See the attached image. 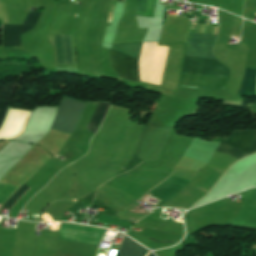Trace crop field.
Listing matches in <instances>:
<instances>
[{
	"label": "crop field",
	"mask_w": 256,
	"mask_h": 256,
	"mask_svg": "<svg viewBox=\"0 0 256 256\" xmlns=\"http://www.w3.org/2000/svg\"><path fill=\"white\" fill-rule=\"evenodd\" d=\"M156 4L157 0H137L134 15L152 17Z\"/></svg>",
	"instance_id": "crop-field-12"
},
{
	"label": "crop field",
	"mask_w": 256,
	"mask_h": 256,
	"mask_svg": "<svg viewBox=\"0 0 256 256\" xmlns=\"http://www.w3.org/2000/svg\"><path fill=\"white\" fill-rule=\"evenodd\" d=\"M145 250L146 249L144 247H142L141 245L137 244L136 242L129 239L128 237H125L116 256H141ZM147 251L148 250H146L145 253Z\"/></svg>",
	"instance_id": "crop-field-9"
},
{
	"label": "crop field",
	"mask_w": 256,
	"mask_h": 256,
	"mask_svg": "<svg viewBox=\"0 0 256 256\" xmlns=\"http://www.w3.org/2000/svg\"><path fill=\"white\" fill-rule=\"evenodd\" d=\"M28 190L29 188L23 186L19 187L16 192L6 201L5 205L2 208L9 210L13 206V204Z\"/></svg>",
	"instance_id": "crop-field-13"
},
{
	"label": "crop field",
	"mask_w": 256,
	"mask_h": 256,
	"mask_svg": "<svg viewBox=\"0 0 256 256\" xmlns=\"http://www.w3.org/2000/svg\"><path fill=\"white\" fill-rule=\"evenodd\" d=\"M108 107H109V104H107V103H99L98 104V106H97L88 126H87V128L90 132L95 133L98 130V128L106 114Z\"/></svg>",
	"instance_id": "crop-field-11"
},
{
	"label": "crop field",
	"mask_w": 256,
	"mask_h": 256,
	"mask_svg": "<svg viewBox=\"0 0 256 256\" xmlns=\"http://www.w3.org/2000/svg\"><path fill=\"white\" fill-rule=\"evenodd\" d=\"M255 140H256V131L236 132V133H233V135L231 136V138L228 140L227 143H222V144L232 146L234 148H237V149L249 154ZM229 146L219 144V146L216 148V150L225 152V153L232 155L238 159L247 155V154H245L237 149H234L232 147H229ZM254 152H256V142H255L250 154L254 153Z\"/></svg>",
	"instance_id": "crop-field-4"
},
{
	"label": "crop field",
	"mask_w": 256,
	"mask_h": 256,
	"mask_svg": "<svg viewBox=\"0 0 256 256\" xmlns=\"http://www.w3.org/2000/svg\"><path fill=\"white\" fill-rule=\"evenodd\" d=\"M83 103L64 99L52 129L72 134L84 109Z\"/></svg>",
	"instance_id": "crop-field-2"
},
{
	"label": "crop field",
	"mask_w": 256,
	"mask_h": 256,
	"mask_svg": "<svg viewBox=\"0 0 256 256\" xmlns=\"http://www.w3.org/2000/svg\"><path fill=\"white\" fill-rule=\"evenodd\" d=\"M215 39L216 35L190 33L185 57L215 59L211 53ZM195 58H185L182 72L230 75L229 70L217 60ZM213 75L182 73L179 86L206 89H225L229 76Z\"/></svg>",
	"instance_id": "crop-field-1"
},
{
	"label": "crop field",
	"mask_w": 256,
	"mask_h": 256,
	"mask_svg": "<svg viewBox=\"0 0 256 256\" xmlns=\"http://www.w3.org/2000/svg\"><path fill=\"white\" fill-rule=\"evenodd\" d=\"M41 11H30L22 26L5 25L3 29L4 46H20V34L31 30Z\"/></svg>",
	"instance_id": "crop-field-7"
},
{
	"label": "crop field",
	"mask_w": 256,
	"mask_h": 256,
	"mask_svg": "<svg viewBox=\"0 0 256 256\" xmlns=\"http://www.w3.org/2000/svg\"><path fill=\"white\" fill-rule=\"evenodd\" d=\"M237 95L256 96V71L246 70L242 85Z\"/></svg>",
	"instance_id": "crop-field-10"
},
{
	"label": "crop field",
	"mask_w": 256,
	"mask_h": 256,
	"mask_svg": "<svg viewBox=\"0 0 256 256\" xmlns=\"http://www.w3.org/2000/svg\"><path fill=\"white\" fill-rule=\"evenodd\" d=\"M150 253V251L148 252V254ZM148 254L146 256H148ZM149 256H154V254L151 252Z\"/></svg>",
	"instance_id": "crop-field-14"
},
{
	"label": "crop field",
	"mask_w": 256,
	"mask_h": 256,
	"mask_svg": "<svg viewBox=\"0 0 256 256\" xmlns=\"http://www.w3.org/2000/svg\"><path fill=\"white\" fill-rule=\"evenodd\" d=\"M110 62L119 78L139 82L137 59L110 50Z\"/></svg>",
	"instance_id": "crop-field-6"
},
{
	"label": "crop field",
	"mask_w": 256,
	"mask_h": 256,
	"mask_svg": "<svg viewBox=\"0 0 256 256\" xmlns=\"http://www.w3.org/2000/svg\"><path fill=\"white\" fill-rule=\"evenodd\" d=\"M58 63L72 64L69 36L55 35Z\"/></svg>",
	"instance_id": "crop-field-8"
},
{
	"label": "crop field",
	"mask_w": 256,
	"mask_h": 256,
	"mask_svg": "<svg viewBox=\"0 0 256 256\" xmlns=\"http://www.w3.org/2000/svg\"><path fill=\"white\" fill-rule=\"evenodd\" d=\"M104 233L103 229L60 223L59 238L98 246Z\"/></svg>",
	"instance_id": "crop-field-3"
},
{
	"label": "crop field",
	"mask_w": 256,
	"mask_h": 256,
	"mask_svg": "<svg viewBox=\"0 0 256 256\" xmlns=\"http://www.w3.org/2000/svg\"><path fill=\"white\" fill-rule=\"evenodd\" d=\"M29 113L30 111L8 109L0 127V140H12L19 136L26 126Z\"/></svg>",
	"instance_id": "crop-field-5"
}]
</instances>
